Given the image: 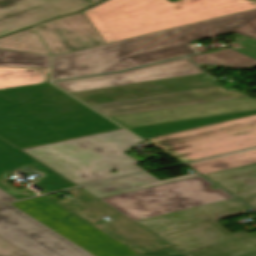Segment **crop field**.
<instances>
[{
    "instance_id": "obj_1",
    "label": "crop field",
    "mask_w": 256,
    "mask_h": 256,
    "mask_svg": "<svg viewBox=\"0 0 256 256\" xmlns=\"http://www.w3.org/2000/svg\"><path fill=\"white\" fill-rule=\"evenodd\" d=\"M72 98L50 83L1 90L0 137L22 149L120 129L113 123L94 126L110 120Z\"/></svg>"
},
{
    "instance_id": "obj_2",
    "label": "crop field",
    "mask_w": 256,
    "mask_h": 256,
    "mask_svg": "<svg viewBox=\"0 0 256 256\" xmlns=\"http://www.w3.org/2000/svg\"><path fill=\"white\" fill-rule=\"evenodd\" d=\"M254 8L249 0H109L84 14L108 43Z\"/></svg>"
},
{
    "instance_id": "obj_3",
    "label": "crop field",
    "mask_w": 256,
    "mask_h": 256,
    "mask_svg": "<svg viewBox=\"0 0 256 256\" xmlns=\"http://www.w3.org/2000/svg\"><path fill=\"white\" fill-rule=\"evenodd\" d=\"M234 196L256 209V189ZM249 209L251 208L233 198L137 223L184 253L238 238L187 253L190 256H256V232L230 234L215 222L246 213Z\"/></svg>"
},
{
    "instance_id": "obj_4",
    "label": "crop field",
    "mask_w": 256,
    "mask_h": 256,
    "mask_svg": "<svg viewBox=\"0 0 256 256\" xmlns=\"http://www.w3.org/2000/svg\"><path fill=\"white\" fill-rule=\"evenodd\" d=\"M142 140L121 129L22 151L38 159L73 183L80 185L142 171V162L125 151ZM111 170L116 172L112 173Z\"/></svg>"
},
{
    "instance_id": "obj_5",
    "label": "crop field",
    "mask_w": 256,
    "mask_h": 256,
    "mask_svg": "<svg viewBox=\"0 0 256 256\" xmlns=\"http://www.w3.org/2000/svg\"><path fill=\"white\" fill-rule=\"evenodd\" d=\"M255 14L256 9L54 56L52 68H73L220 35L237 28Z\"/></svg>"
},
{
    "instance_id": "obj_6",
    "label": "crop field",
    "mask_w": 256,
    "mask_h": 256,
    "mask_svg": "<svg viewBox=\"0 0 256 256\" xmlns=\"http://www.w3.org/2000/svg\"><path fill=\"white\" fill-rule=\"evenodd\" d=\"M198 176L108 198L106 204L133 221L233 198Z\"/></svg>"
},
{
    "instance_id": "obj_7",
    "label": "crop field",
    "mask_w": 256,
    "mask_h": 256,
    "mask_svg": "<svg viewBox=\"0 0 256 256\" xmlns=\"http://www.w3.org/2000/svg\"><path fill=\"white\" fill-rule=\"evenodd\" d=\"M180 162L256 147V115L148 139Z\"/></svg>"
},
{
    "instance_id": "obj_8",
    "label": "crop field",
    "mask_w": 256,
    "mask_h": 256,
    "mask_svg": "<svg viewBox=\"0 0 256 256\" xmlns=\"http://www.w3.org/2000/svg\"><path fill=\"white\" fill-rule=\"evenodd\" d=\"M13 205L95 256L137 255L44 196Z\"/></svg>"
},
{
    "instance_id": "obj_9",
    "label": "crop field",
    "mask_w": 256,
    "mask_h": 256,
    "mask_svg": "<svg viewBox=\"0 0 256 256\" xmlns=\"http://www.w3.org/2000/svg\"><path fill=\"white\" fill-rule=\"evenodd\" d=\"M0 238L29 256H93L11 204L0 206Z\"/></svg>"
},
{
    "instance_id": "obj_10",
    "label": "crop field",
    "mask_w": 256,
    "mask_h": 256,
    "mask_svg": "<svg viewBox=\"0 0 256 256\" xmlns=\"http://www.w3.org/2000/svg\"><path fill=\"white\" fill-rule=\"evenodd\" d=\"M68 192L74 196L56 201L135 252L140 254L170 248L83 190L76 188ZM104 216L112 220L108 222L102 218Z\"/></svg>"
},
{
    "instance_id": "obj_11",
    "label": "crop field",
    "mask_w": 256,
    "mask_h": 256,
    "mask_svg": "<svg viewBox=\"0 0 256 256\" xmlns=\"http://www.w3.org/2000/svg\"><path fill=\"white\" fill-rule=\"evenodd\" d=\"M92 4L88 0H0V36Z\"/></svg>"
},
{
    "instance_id": "obj_12",
    "label": "crop field",
    "mask_w": 256,
    "mask_h": 256,
    "mask_svg": "<svg viewBox=\"0 0 256 256\" xmlns=\"http://www.w3.org/2000/svg\"><path fill=\"white\" fill-rule=\"evenodd\" d=\"M219 86L206 74L103 88L72 95L89 105Z\"/></svg>"
},
{
    "instance_id": "obj_13",
    "label": "crop field",
    "mask_w": 256,
    "mask_h": 256,
    "mask_svg": "<svg viewBox=\"0 0 256 256\" xmlns=\"http://www.w3.org/2000/svg\"><path fill=\"white\" fill-rule=\"evenodd\" d=\"M202 73L186 58L123 73L56 82L69 93Z\"/></svg>"
},
{
    "instance_id": "obj_14",
    "label": "crop field",
    "mask_w": 256,
    "mask_h": 256,
    "mask_svg": "<svg viewBox=\"0 0 256 256\" xmlns=\"http://www.w3.org/2000/svg\"><path fill=\"white\" fill-rule=\"evenodd\" d=\"M256 100L251 97L190 105L184 107L113 116L111 117L126 128L192 119L198 117L255 110Z\"/></svg>"
},
{
    "instance_id": "obj_15",
    "label": "crop field",
    "mask_w": 256,
    "mask_h": 256,
    "mask_svg": "<svg viewBox=\"0 0 256 256\" xmlns=\"http://www.w3.org/2000/svg\"><path fill=\"white\" fill-rule=\"evenodd\" d=\"M246 97L237 91L227 92L222 87L189 91L183 93L127 100L121 102L93 105L102 113L113 116L183 105Z\"/></svg>"
},
{
    "instance_id": "obj_16",
    "label": "crop field",
    "mask_w": 256,
    "mask_h": 256,
    "mask_svg": "<svg viewBox=\"0 0 256 256\" xmlns=\"http://www.w3.org/2000/svg\"><path fill=\"white\" fill-rule=\"evenodd\" d=\"M36 31L53 56L104 44L83 13L39 26Z\"/></svg>"
},
{
    "instance_id": "obj_17",
    "label": "crop field",
    "mask_w": 256,
    "mask_h": 256,
    "mask_svg": "<svg viewBox=\"0 0 256 256\" xmlns=\"http://www.w3.org/2000/svg\"><path fill=\"white\" fill-rule=\"evenodd\" d=\"M196 53L187 43L77 67L73 69H52V80L66 79L114 70L132 68L136 66L146 65L154 62H159L167 59H172L180 56Z\"/></svg>"
},
{
    "instance_id": "obj_18",
    "label": "crop field",
    "mask_w": 256,
    "mask_h": 256,
    "mask_svg": "<svg viewBox=\"0 0 256 256\" xmlns=\"http://www.w3.org/2000/svg\"><path fill=\"white\" fill-rule=\"evenodd\" d=\"M26 164L46 174L35 184L46 192L74 187L66 179L0 139V176Z\"/></svg>"
},
{
    "instance_id": "obj_19",
    "label": "crop field",
    "mask_w": 256,
    "mask_h": 256,
    "mask_svg": "<svg viewBox=\"0 0 256 256\" xmlns=\"http://www.w3.org/2000/svg\"><path fill=\"white\" fill-rule=\"evenodd\" d=\"M195 176H198V175L195 173H192V174L160 181L155 177H153L152 175L145 173V174L115 179V180L83 187V189L96 195L98 198H102V197H108V196L132 191V190L160 185V184H164V183H168L176 180L191 178Z\"/></svg>"
},
{
    "instance_id": "obj_20",
    "label": "crop field",
    "mask_w": 256,
    "mask_h": 256,
    "mask_svg": "<svg viewBox=\"0 0 256 256\" xmlns=\"http://www.w3.org/2000/svg\"><path fill=\"white\" fill-rule=\"evenodd\" d=\"M253 114H256V110L219 115V116H212V117H205V118H199V119H192V120H185V121H178V122H171V123L158 124V125L134 127V128H129V130L133 131L134 133L138 134L139 136L145 139H148V138H152L160 135H165L169 133L201 127V126L218 123L226 120H231L235 118H240V117L253 115Z\"/></svg>"
},
{
    "instance_id": "obj_21",
    "label": "crop field",
    "mask_w": 256,
    "mask_h": 256,
    "mask_svg": "<svg viewBox=\"0 0 256 256\" xmlns=\"http://www.w3.org/2000/svg\"><path fill=\"white\" fill-rule=\"evenodd\" d=\"M231 194L256 188V163L204 175Z\"/></svg>"
},
{
    "instance_id": "obj_22",
    "label": "crop field",
    "mask_w": 256,
    "mask_h": 256,
    "mask_svg": "<svg viewBox=\"0 0 256 256\" xmlns=\"http://www.w3.org/2000/svg\"><path fill=\"white\" fill-rule=\"evenodd\" d=\"M49 69L0 67V89L48 82Z\"/></svg>"
},
{
    "instance_id": "obj_23",
    "label": "crop field",
    "mask_w": 256,
    "mask_h": 256,
    "mask_svg": "<svg viewBox=\"0 0 256 256\" xmlns=\"http://www.w3.org/2000/svg\"><path fill=\"white\" fill-rule=\"evenodd\" d=\"M256 162V150L188 164L201 175Z\"/></svg>"
},
{
    "instance_id": "obj_24",
    "label": "crop field",
    "mask_w": 256,
    "mask_h": 256,
    "mask_svg": "<svg viewBox=\"0 0 256 256\" xmlns=\"http://www.w3.org/2000/svg\"><path fill=\"white\" fill-rule=\"evenodd\" d=\"M195 64L223 65L235 69L256 66V60L232 49L190 57Z\"/></svg>"
},
{
    "instance_id": "obj_25",
    "label": "crop field",
    "mask_w": 256,
    "mask_h": 256,
    "mask_svg": "<svg viewBox=\"0 0 256 256\" xmlns=\"http://www.w3.org/2000/svg\"><path fill=\"white\" fill-rule=\"evenodd\" d=\"M0 49L48 55L35 32L26 30L0 38Z\"/></svg>"
},
{
    "instance_id": "obj_26",
    "label": "crop field",
    "mask_w": 256,
    "mask_h": 256,
    "mask_svg": "<svg viewBox=\"0 0 256 256\" xmlns=\"http://www.w3.org/2000/svg\"><path fill=\"white\" fill-rule=\"evenodd\" d=\"M0 66L49 68V56L0 50Z\"/></svg>"
},
{
    "instance_id": "obj_27",
    "label": "crop field",
    "mask_w": 256,
    "mask_h": 256,
    "mask_svg": "<svg viewBox=\"0 0 256 256\" xmlns=\"http://www.w3.org/2000/svg\"><path fill=\"white\" fill-rule=\"evenodd\" d=\"M235 39L237 41L230 45L231 47H234L256 58V39L242 35L235 37Z\"/></svg>"
},
{
    "instance_id": "obj_28",
    "label": "crop field",
    "mask_w": 256,
    "mask_h": 256,
    "mask_svg": "<svg viewBox=\"0 0 256 256\" xmlns=\"http://www.w3.org/2000/svg\"><path fill=\"white\" fill-rule=\"evenodd\" d=\"M0 188L7 192L8 194L12 195L16 199L24 198V197H29L33 196L32 192L28 191L27 189L23 188L21 190H18L11 186L10 184L6 183L4 180L0 179Z\"/></svg>"
},
{
    "instance_id": "obj_29",
    "label": "crop field",
    "mask_w": 256,
    "mask_h": 256,
    "mask_svg": "<svg viewBox=\"0 0 256 256\" xmlns=\"http://www.w3.org/2000/svg\"><path fill=\"white\" fill-rule=\"evenodd\" d=\"M233 32L238 34L246 35L252 38H256V15L246 21L244 24L239 26Z\"/></svg>"
},
{
    "instance_id": "obj_30",
    "label": "crop field",
    "mask_w": 256,
    "mask_h": 256,
    "mask_svg": "<svg viewBox=\"0 0 256 256\" xmlns=\"http://www.w3.org/2000/svg\"><path fill=\"white\" fill-rule=\"evenodd\" d=\"M0 256H27L12 245L0 239Z\"/></svg>"
},
{
    "instance_id": "obj_31",
    "label": "crop field",
    "mask_w": 256,
    "mask_h": 256,
    "mask_svg": "<svg viewBox=\"0 0 256 256\" xmlns=\"http://www.w3.org/2000/svg\"><path fill=\"white\" fill-rule=\"evenodd\" d=\"M137 256H185V255L173 248H170V249L161 250V251L144 253V254L137 255Z\"/></svg>"
},
{
    "instance_id": "obj_32",
    "label": "crop field",
    "mask_w": 256,
    "mask_h": 256,
    "mask_svg": "<svg viewBox=\"0 0 256 256\" xmlns=\"http://www.w3.org/2000/svg\"><path fill=\"white\" fill-rule=\"evenodd\" d=\"M11 200H15V198L11 197L10 195H8L7 193H5L0 189V203L11 201Z\"/></svg>"
},
{
    "instance_id": "obj_33",
    "label": "crop field",
    "mask_w": 256,
    "mask_h": 256,
    "mask_svg": "<svg viewBox=\"0 0 256 256\" xmlns=\"http://www.w3.org/2000/svg\"><path fill=\"white\" fill-rule=\"evenodd\" d=\"M18 112H19L22 116L28 115V114H26V113H24V112H22V111H20V110H18Z\"/></svg>"
},
{
    "instance_id": "obj_34",
    "label": "crop field",
    "mask_w": 256,
    "mask_h": 256,
    "mask_svg": "<svg viewBox=\"0 0 256 256\" xmlns=\"http://www.w3.org/2000/svg\"><path fill=\"white\" fill-rule=\"evenodd\" d=\"M90 1H92V2L96 3V2H98V1H100V0H90Z\"/></svg>"
},
{
    "instance_id": "obj_35",
    "label": "crop field",
    "mask_w": 256,
    "mask_h": 256,
    "mask_svg": "<svg viewBox=\"0 0 256 256\" xmlns=\"http://www.w3.org/2000/svg\"><path fill=\"white\" fill-rule=\"evenodd\" d=\"M111 122V121H110ZM102 123H104V122H102ZM102 123H97V124H94V125H98V124H102Z\"/></svg>"
},
{
    "instance_id": "obj_36",
    "label": "crop field",
    "mask_w": 256,
    "mask_h": 256,
    "mask_svg": "<svg viewBox=\"0 0 256 256\" xmlns=\"http://www.w3.org/2000/svg\"><path fill=\"white\" fill-rule=\"evenodd\" d=\"M252 1H255V2H256V0H252Z\"/></svg>"
}]
</instances>
